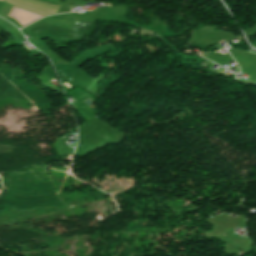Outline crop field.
I'll use <instances>...</instances> for the list:
<instances>
[{
	"mask_svg": "<svg viewBox=\"0 0 256 256\" xmlns=\"http://www.w3.org/2000/svg\"><path fill=\"white\" fill-rule=\"evenodd\" d=\"M4 1L8 4L15 5L32 12L43 14L45 16L50 14H55L60 8L59 6L41 2V1H36V0H4Z\"/></svg>",
	"mask_w": 256,
	"mask_h": 256,
	"instance_id": "1",
	"label": "crop field"
}]
</instances>
